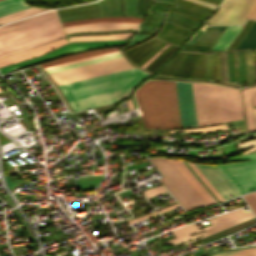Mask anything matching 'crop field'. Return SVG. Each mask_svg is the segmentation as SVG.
Returning a JSON list of instances; mask_svg holds the SVG:
<instances>
[{
	"label": "crop field",
	"instance_id": "obj_1",
	"mask_svg": "<svg viewBox=\"0 0 256 256\" xmlns=\"http://www.w3.org/2000/svg\"><path fill=\"white\" fill-rule=\"evenodd\" d=\"M55 11L0 27V56L63 38Z\"/></svg>",
	"mask_w": 256,
	"mask_h": 256
},
{
	"label": "crop field",
	"instance_id": "obj_2",
	"mask_svg": "<svg viewBox=\"0 0 256 256\" xmlns=\"http://www.w3.org/2000/svg\"><path fill=\"white\" fill-rule=\"evenodd\" d=\"M135 96L146 128L181 127L173 81H147Z\"/></svg>",
	"mask_w": 256,
	"mask_h": 256
},
{
	"label": "crop field",
	"instance_id": "obj_3",
	"mask_svg": "<svg viewBox=\"0 0 256 256\" xmlns=\"http://www.w3.org/2000/svg\"><path fill=\"white\" fill-rule=\"evenodd\" d=\"M198 125L244 119L239 90L192 83Z\"/></svg>",
	"mask_w": 256,
	"mask_h": 256
},
{
	"label": "crop field",
	"instance_id": "obj_4",
	"mask_svg": "<svg viewBox=\"0 0 256 256\" xmlns=\"http://www.w3.org/2000/svg\"><path fill=\"white\" fill-rule=\"evenodd\" d=\"M150 161L164 176L160 178L162 183L184 209L208 205L170 159L151 158Z\"/></svg>",
	"mask_w": 256,
	"mask_h": 256
},
{
	"label": "crop field",
	"instance_id": "obj_5",
	"mask_svg": "<svg viewBox=\"0 0 256 256\" xmlns=\"http://www.w3.org/2000/svg\"><path fill=\"white\" fill-rule=\"evenodd\" d=\"M133 66L124 57L112 59L104 62L90 64L82 67L68 69L60 72L51 73V77L58 85L78 81L94 76H99L111 72H116Z\"/></svg>",
	"mask_w": 256,
	"mask_h": 256
},
{
	"label": "crop field",
	"instance_id": "obj_6",
	"mask_svg": "<svg viewBox=\"0 0 256 256\" xmlns=\"http://www.w3.org/2000/svg\"><path fill=\"white\" fill-rule=\"evenodd\" d=\"M255 0H225L208 25L244 24Z\"/></svg>",
	"mask_w": 256,
	"mask_h": 256
},
{
	"label": "crop field",
	"instance_id": "obj_7",
	"mask_svg": "<svg viewBox=\"0 0 256 256\" xmlns=\"http://www.w3.org/2000/svg\"><path fill=\"white\" fill-rule=\"evenodd\" d=\"M218 167L241 194L256 190V161Z\"/></svg>",
	"mask_w": 256,
	"mask_h": 256
},
{
	"label": "crop field",
	"instance_id": "obj_8",
	"mask_svg": "<svg viewBox=\"0 0 256 256\" xmlns=\"http://www.w3.org/2000/svg\"><path fill=\"white\" fill-rule=\"evenodd\" d=\"M127 40H118V41H101V42H85V43H71L67 44L43 57H38L36 59L24 61L21 63H18L13 66L5 67L0 70L2 74L29 66L34 63L42 62L60 55L64 54H69V53H74L86 49H93V48H100V47H105V46H113V45H121L125 44Z\"/></svg>",
	"mask_w": 256,
	"mask_h": 256
},
{
	"label": "crop field",
	"instance_id": "obj_9",
	"mask_svg": "<svg viewBox=\"0 0 256 256\" xmlns=\"http://www.w3.org/2000/svg\"><path fill=\"white\" fill-rule=\"evenodd\" d=\"M182 126H195L196 115L191 83L175 82Z\"/></svg>",
	"mask_w": 256,
	"mask_h": 256
},
{
	"label": "crop field",
	"instance_id": "obj_10",
	"mask_svg": "<svg viewBox=\"0 0 256 256\" xmlns=\"http://www.w3.org/2000/svg\"><path fill=\"white\" fill-rule=\"evenodd\" d=\"M176 1L181 2V3H184V4H187V5H190V6H193V7H196V8H199V9H202V10H205V11L210 12V13H212V11H213V10H211V9H209V8L203 7V6H201V5H198V4L189 2V1H185V0H176ZM181 3H177V2H176L175 6H176V7H179V8H182V9H186V10L195 12V13H198V14H201V15L206 16V17H208V16L210 15V13H207V12H205V11H202V10H199V9H196V8H193V7H190V6L181 4ZM169 8L175 9V8H173V7H169ZM177 9H178V8H177ZM177 9H175V10H177ZM175 10H170V9H168V11L171 12V13L178 14V15H182V16H186V17H189V18H191V19L198 20V21H200V22H203V20H205L204 18H206V17L201 18V19H203V20H201V19H198V18H200V17H203V16H201V15H198V14H195V13H192V12L187 11V12L193 14V15L200 16V17L196 18V17H192L193 15H192V16H188V15H191V14H189V13H187V12H184L185 10H184V11H180V10H181V9H180V10H177V11H180V12H182V13H184V14H188V15H184V14H182V13H180V12L175 11ZM169 12H168V13H169ZM171 13H169V14H171ZM174 14H172V15H174ZM172 15H170V16H172ZM178 15H175V16L180 17V18H184V19H187V20H190V21H193V22H195V23L200 24V23L197 22V21L191 20V19L186 18V17L178 16ZM170 16L167 15L165 20H167V21H169V22H172V23H175V24H177V25H180V26H182V27H184V28H187V29H189V30H191V31H193V30L196 28V26H198V24H195V23H193V22H190V21L183 20V19H180V18L175 17V18H177V19H179V20H181V21H185V22L191 23V24L196 25V26L190 25V24L185 23V22H181V21H179V20H177V19L172 18V17H174V16H172V17H170Z\"/></svg>",
	"mask_w": 256,
	"mask_h": 256
},
{
	"label": "crop field",
	"instance_id": "obj_11",
	"mask_svg": "<svg viewBox=\"0 0 256 256\" xmlns=\"http://www.w3.org/2000/svg\"><path fill=\"white\" fill-rule=\"evenodd\" d=\"M199 55V53H179L158 74L188 78Z\"/></svg>",
	"mask_w": 256,
	"mask_h": 256
},
{
	"label": "crop field",
	"instance_id": "obj_12",
	"mask_svg": "<svg viewBox=\"0 0 256 256\" xmlns=\"http://www.w3.org/2000/svg\"><path fill=\"white\" fill-rule=\"evenodd\" d=\"M132 87L112 91L92 97H87L75 101H71L70 104L74 110V112L90 109L102 105H107L111 103L118 102L120 99L124 98L130 91Z\"/></svg>",
	"mask_w": 256,
	"mask_h": 256
},
{
	"label": "crop field",
	"instance_id": "obj_13",
	"mask_svg": "<svg viewBox=\"0 0 256 256\" xmlns=\"http://www.w3.org/2000/svg\"><path fill=\"white\" fill-rule=\"evenodd\" d=\"M248 214H251V212L245 214L243 209H241V210L230 212V213H227V214H224V215H220V216H217V217L210 218L208 220L211 222L212 225H210V226H208L206 228H203L201 230L198 229L196 224H192V225H188V226L179 228L177 230L172 231L177 238L172 239V240H168V241H165V242H162V243L165 244V243L174 241L176 239H179V238H182V237H185V236L197 233L199 231H203V230L209 229V228H211L213 226H216V225L224 224L226 222L235 220L237 218L246 216Z\"/></svg>",
	"mask_w": 256,
	"mask_h": 256
},
{
	"label": "crop field",
	"instance_id": "obj_14",
	"mask_svg": "<svg viewBox=\"0 0 256 256\" xmlns=\"http://www.w3.org/2000/svg\"><path fill=\"white\" fill-rule=\"evenodd\" d=\"M65 43H67V41L64 38L61 40H57V41L39 46L37 48H33V49L13 53V54H10V55L4 56V57H0V66H4L7 64H11L14 62L32 58V57H35L38 55H42V54L47 53Z\"/></svg>",
	"mask_w": 256,
	"mask_h": 256
},
{
	"label": "crop field",
	"instance_id": "obj_15",
	"mask_svg": "<svg viewBox=\"0 0 256 256\" xmlns=\"http://www.w3.org/2000/svg\"><path fill=\"white\" fill-rule=\"evenodd\" d=\"M156 42H158V40L151 38L145 42H143V44L141 45H137L131 49L128 50H124V53L126 54V56L128 54H130L136 47V49L127 56V58L132 62L134 59H136L138 56H140L142 53H144L146 50H148L150 47H152ZM163 41H159L158 43H156L152 48H150L148 51H146L144 54H142L140 57H138L135 61H133L132 63H137L138 61H140L141 59H143L146 55H148L153 49H155L159 44H161ZM166 44L165 42H163L161 45H159L154 51H152L148 56H146L143 60H141L140 62H138L137 66H141L144 62H146L151 56H153L155 53H157L160 48ZM123 52V51H122Z\"/></svg>",
	"mask_w": 256,
	"mask_h": 256
},
{
	"label": "crop field",
	"instance_id": "obj_16",
	"mask_svg": "<svg viewBox=\"0 0 256 256\" xmlns=\"http://www.w3.org/2000/svg\"><path fill=\"white\" fill-rule=\"evenodd\" d=\"M145 77L67 94L66 97H67L68 101H70V100H75V99H79V98H83V97H87V96H92V95H96V94H100V93H104V92H108V91H112V90H117V89L129 87V86H133V85H136L141 79H143Z\"/></svg>",
	"mask_w": 256,
	"mask_h": 256
},
{
	"label": "crop field",
	"instance_id": "obj_17",
	"mask_svg": "<svg viewBox=\"0 0 256 256\" xmlns=\"http://www.w3.org/2000/svg\"><path fill=\"white\" fill-rule=\"evenodd\" d=\"M190 33L191 31L187 29L165 22L155 37L180 45Z\"/></svg>",
	"mask_w": 256,
	"mask_h": 256
},
{
	"label": "crop field",
	"instance_id": "obj_18",
	"mask_svg": "<svg viewBox=\"0 0 256 256\" xmlns=\"http://www.w3.org/2000/svg\"><path fill=\"white\" fill-rule=\"evenodd\" d=\"M139 23H98L64 28L66 33L97 30L136 29Z\"/></svg>",
	"mask_w": 256,
	"mask_h": 256
},
{
	"label": "crop field",
	"instance_id": "obj_19",
	"mask_svg": "<svg viewBox=\"0 0 256 256\" xmlns=\"http://www.w3.org/2000/svg\"><path fill=\"white\" fill-rule=\"evenodd\" d=\"M92 4H94V3H92ZM86 5H91V4H86ZM80 6H83V5H80ZM74 7H76V6H74ZM95 8H99V5L95 4V5H91V6L76 7V8L69 7V8L57 10V12L65 13V12H73V11L88 10V9H95ZM97 12H100V10L96 9V10L80 11V12L65 13V14H58V15H59V17H64V16H73V15H81V14H89V13H97ZM97 16H100V13L81 15V16H73V17H64V18H60V19H61V21H65V20L97 17Z\"/></svg>",
	"mask_w": 256,
	"mask_h": 256
},
{
	"label": "crop field",
	"instance_id": "obj_20",
	"mask_svg": "<svg viewBox=\"0 0 256 256\" xmlns=\"http://www.w3.org/2000/svg\"><path fill=\"white\" fill-rule=\"evenodd\" d=\"M238 53L239 60V74L237 72V57L236 52H231V60H232V70H233V82L246 81V69H245V59L243 52ZM228 57V67H229V53L227 52ZM231 60H230V69H231ZM232 70H231V79H232ZM230 77V70H229ZM230 79V82H231Z\"/></svg>",
	"mask_w": 256,
	"mask_h": 256
},
{
	"label": "crop field",
	"instance_id": "obj_21",
	"mask_svg": "<svg viewBox=\"0 0 256 256\" xmlns=\"http://www.w3.org/2000/svg\"><path fill=\"white\" fill-rule=\"evenodd\" d=\"M250 90L253 105L256 106V87H251L242 91L248 131L256 129L251 106Z\"/></svg>",
	"mask_w": 256,
	"mask_h": 256
},
{
	"label": "crop field",
	"instance_id": "obj_22",
	"mask_svg": "<svg viewBox=\"0 0 256 256\" xmlns=\"http://www.w3.org/2000/svg\"><path fill=\"white\" fill-rule=\"evenodd\" d=\"M142 18L138 17H100L94 19L75 20L62 22L64 27L98 22H140Z\"/></svg>",
	"mask_w": 256,
	"mask_h": 256
},
{
	"label": "crop field",
	"instance_id": "obj_23",
	"mask_svg": "<svg viewBox=\"0 0 256 256\" xmlns=\"http://www.w3.org/2000/svg\"><path fill=\"white\" fill-rule=\"evenodd\" d=\"M119 47L106 48V49H100V50L89 51V52H82V53L70 55V56H67V57H64V58H60V59H56V60H53V61L42 63V66L46 67V66L55 65V64H59V63H64V62H68V61H73V60H77V59H81V58H86V57H90V56H95V55H99V54L113 52V51L119 50Z\"/></svg>",
	"mask_w": 256,
	"mask_h": 256
},
{
	"label": "crop field",
	"instance_id": "obj_24",
	"mask_svg": "<svg viewBox=\"0 0 256 256\" xmlns=\"http://www.w3.org/2000/svg\"><path fill=\"white\" fill-rule=\"evenodd\" d=\"M251 218H254V215H253V214L248 215V216L243 217V218H240V219H238V220L232 221V222H230V223L221 225V226H219V227H216V228H213V229H209V230L203 231V232H201V233L192 235V236H190V237H187V238H184V239H181V240H178V241L169 243V244H171V245L178 244V243L184 242V241H186V240L192 239V238L197 237V236H200V235H202L203 237H205V236L211 235V234H213V233L219 232V231H221V230L227 229V228H229V227H232V226H234V225H236V224H239V223H241V222H243V221L249 220V219H251ZM203 237H201V238H203ZM198 239H200V238H197V239H194V240H191V241L182 243L181 245L188 244V243H190V242H192V241H195V240H198Z\"/></svg>",
	"mask_w": 256,
	"mask_h": 256
},
{
	"label": "crop field",
	"instance_id": "obj_25",
	"mask_svg": "<svg viewBox=\"0 0 256 256\" xmlns=\"http://www.w3.org/2000/svg\"><path fill=\"white\" fill-rule=\"evenodd\" d=\"M243 26H228L218 38L212 50H225Z\"/></svg>",
	"mask_w": 256,
	"mask_h": 256
},
{
	"label": "crop field",
	"instance_id": "obj_26",
	"mask_svg": "<svg viewBox=\"0 0 256 256\" xmlns=\"http://www.w3.org/2000/svg\"><path fill=\"white\" fill-rule=\"evenodd\" d=\"M145 75H147V74L144 71H141V72H137V73H133V74H129V75H125V76H121V77H117V78H113V79H109V80H105V81H100V82H96V83H92V84H88V85H84V86L64 90L62 92H63V94H66V93H70V92H75V91H79V90H83V89H88V88H92V87L106 85V84L119 82V81H123V80H128V79L141 77V76H145Z\"/></svg>",
	"mask_w": 256,
	"mask_h": 256
},
{
	"label": "crop field",
	"instance_id": "obj_27",
	"mask_svg": "<svg viewBox=\"0 0 256 256\" xmlns=\"http://www.w3.org/2000/svg\"><path fill=\"white\" fill-rule=\"evenodd\" d=\"M206 57H207V54L200 55L190 78L204 79L205 68H206ZM210 59H211V54H209L208 60H207V68H206V75H205V79L207 80L209 77Z\"/></svg>",
	"mask_w": 256,
	"mask_h": 256
},
{
	"label": "crop field",
	"instance_id": "obj_28",
	"mask_svg": "<svg viewBox=\"0 0 256 256\" xmlns=\"http://www.w3.org/2000/svg\"><path fill=\"white\" fill-rule=\"evenodd\" d=\"M26 8H29V6L21 0H4L0 2V16Z\"/></svg>",
	"mask_w": 256,
	"mask_h": 256
},
{
	"label": "crop field",
	"instance_id": "obj_29",
	"mask_svg": "<svg viewBox=\"0 0 256 256\" xmlns=\"http://www.w3.org/2000/svg\"><path fill=\"white\" fill-rule=\"evenodd\" d=\"M133 33H120L114 35H84V36H75L70 37L69 41H84V40H105V39H125L131 38Z\"/></svg>",
	"mask_w": 256,
	"mask_h": 256
},
{
	"label": "crop field",
	"instance_id": "obj_30",
	"mask_svg": "<svg viewBox=\"0 0 256 256\" xmlns=\"http://www.w3.org/2000/svg\"><path fill=\"white\" fill-rule=\"evenodd\" d=\"M44 10H48V9L32 7L30 9H27V10H24V11H20V12L14 13V14H10V15H7V16H4V17H0V24L8 22V21L15 20V19H18V18H21V17H25V16H28V15H31V14H34V13H38V12H41V11H44Z\"/></svg>",
	"mask_w": 256,
	"mask_h": 256
},
{
	"label": "crop field",
	"instance_id": "obj_31",
	"mask_svg": "<svg viewBox=\"0 0 256 256\" xmlns=\"http://www.w3.org/2000/svg\"><path fill=\"white\" fill-rule=\"evenodd\" d=\"M173 45H169L157 58H155L149 65H147L144 69L150 68L158 59H160L167 51H169ZM177 47L174 46L168 53H166L160 60H158L149 70V72H153L163 61H165L176 49Z\"/></svg>",
	"mask_w": 256,
	"mask_h": 256
},
{
	"label": "crop field",
	"instance_id": "obj_32",
	"mask_svg": "<svg viewBox=\"0 0 256 256\" xmlns=\"http://www.w3.org/2000/svg\"><path fill=\"white\" fill-rule=\"evenodd\" d=\"M172 161H173V163L180 169V171L187 177V179L193 184V186L200 192V194L207 200V202L209 203V204H212L213 202L211 201V199L205 194V192L198 186V184L192 179V177L186 172V170L179 164V162L177 161V160H173V159H171ZM171 161V162H172ZM178 169V170H179ZM184 176V177H185ZM185 177V178H186ZM191 184V185H192ZM197 191V192H198ZM198 192V193H199ZM204 199V200H205ZM205 200V201H206Z\"/></svg>",
	"mask_w": 256,
	"mask_h": 256
},
{
	"label": "crop field",
	"instance_id": "obj_33",
	"mask_svg": "<svg viewBox=\"0 0 256 256\" xmlns=\"http://www.w3.org/2000/svg\"><path fill=\"white\" fill-rule=\"evenodd\" d=\"M121 56H123V55L121 53H119V54H115V55H111V56H107V57H103V58H98V59H94V60H90V61H86V62H81V63H77V64L65 66V67H60V68L48 70L47 72L51 73V72H55V71H60V70H64V69H68V68H73V67H77V66H82V65H86V64H90V63H95V62H99V61H104V60H108V59H112V58H117V57H121Z\"/></svg>",
	"mask_w": 256,
	"mask_h": 256
},
{
	"label": "crop field",
	"instance_id": "obj_34",
	"mask_svg": "<svg viewBox=\"0 0 256 256\" xmlns=\"http://www.w3.org/2000/svg\"><path fill=\"white\" fill-rule=\"evenodd\" d=\"M106 1H107L108 16L117 15L116 0H106ZM106 1L105 0L99 1L102 8V16H107Z\"/></svg>",
	"mask_w": 256,
	"mask_h": 256
},
{
	"label": "crop field",
	"instance_id": "obj_35",
	"mask_svg": "<svg viewBox=\"0 0 256 256\" xmlns=\"http://www.w3.org/2000/svg\"><path fill=\"white\" fill-rule=\"evenodd\" d=\"M219 129H228L227 125H215L211 127H203V128H194V129H182V130H174L170 132H192V133H203V132H213Z\"/></svg>",
	"mask_w": 256,
	"mask_h": 256
},
{
	"label": "crop field",
	"instance_id": "obj_36",
	"mask_svg": "<svg viewBox=\"0 0 256 256\" xmlns=\"http://www.w3.org/2000/svg\"><path fill=\"white\" fill-rule=\"evenodd\" d=\"M253 138H256V135L249 136V137H246V138L238 140V150H237V153L242 151V150H244V149H246V148H249L251 146H255V147H253V148L243 152V154H246V153H249V152H252V151H256V140H251V141L239 143L241 141H245V140H249V139H253Z\"/></svg>",
	"mask_w": 256,
	"mask_h": 256
},
{
	"label": "crop field",
	"instance_id": "obj_37",
	"mask_svg": "<svg viewBox=\"0 0 256 256\" xmlns=\"http://www.w3.org/2000/svg\"><path fill=\"white\" fill-rule=\"evenodd\" d=\"M254 23L253 20H248L246 25L243 27V29L240 31V33L237 35V37L234 39V41L229 46V49H236V47L239 45L241 40L244 38V36L247 34L249 29L251 28L252 24Z\"/></svg>",
	"mask_w": 256,
	"mask_h": 256
},
{
	"label": "crop field",
	"instance_id": "obj_38",
	"mask_svg": "<svg viewBox=\"0 0 256 256\" xmlns=\"http://www.w3.org/2000/svg\"><path fill=\"white\" fill-rule=\"evenodd\" d=\"M165 13H166V12L161 11V21H160V24H159V20H160V11H158V18H157V22H156V26H155V27H157L158 24H159L158 27L161 26V24H162V19H163ZM153 15H157V11H154V12H153ZM156 17H157V16H152V14H148L147 18L145 19V21L143 22L142 25L154 27L155 21H156Z\"/></svg>",
	"mask_w": 256,
	"mask_h": 256
},
{
	"label": "crop field",
	"instance_id": "obj_39",
	"mask_svg": "<svg viewBox=\"0 0 256 256\" xmlns=\"http://www.w3.org/2000/svg\"><path fill=\"white\" fill-rule=\"evenodd\" d=\"M250 52V63H251V84H254V74H253V56L252 50ZM247 66V84H250V64H249V53L248 50H244Z\"/></svg>",
	"mask_w": 256,
	"mask_h": 256
},
{
	"label": "crop field",
	"instance_id": "obj_40",
	"mask_svg": "<svg viewBox=\"0 0 256 256\" xmlns=\"http://www.w3.org/2000/svg\"><path fill=\"white\" fill-rule=\"evenodd\" d=\"M217 53H212V59H211V69H210V77L209 80H211V73H212V66H213V61H214V54H215V62H214V67H213V74H212V80L214 81V76H215V67H216V60H217ZM215 81H220V71H219V54H218V61H217V67H216V77Z\"/></svg>",
	"mask_w": 256,
	"mask_h": 256
},
{
	"label": "crop field",
	"instance_id": "obj_41",
	"mask_svg": "<svg viewBox=\"0 0 256 256\" xmlns=\"http://www.w3.org/2000/svg\"><path fill=\"white\" fill-rule=\"evenodd\" d=\"M134 70H138V69L133 68V69H129V70L121 71V72H116V73L103 75V76H99V77H95V78H91V79H86V80H82V81H78V82H73V83L61 85L60 88L75 85V84H79V83H84V82H88V81H92V80H96V79H100V78H105V77H109V76H113V75H117V74H122V73L130 72V71H134Z\"/></svg>",
	"mask_w": 256,
	"mask_h": 256
},
{
	"label": "crop field",
	"instance_id": "obj_42",
	"mask_svg": "<svg viewBox=\"0 0 256 256\" xmlns=\"http://www.w3.org/2000/svg\"><path fill=\"white\" fill-rule=\"evenodd\" d=\"M181 159H184V158H181ZM249 159H256V152L248 155H244L238 158H231V159H226V160H221L216 162H206V161L193 160V159H187V160H193V161H199V162H205V163H218V162L241 161V160H249Z\"/></svg>",
	"mask_w": 256,
	"mask_h": 256
},
{
	"label": "crop field",
	"instance_id": "obj_43",
	"mask_svg": "<svg viewBox=\"0 0 256 256\" xmlns=\"http://www.w3.org/2000/svg\"><path fill=\"white\" fill-rule=\"evenodd\" d=\"M189 166L196 172V174L203 180V182L210 188V190L217 196L220 201H223L221 196L216 192V190L211 186V184L206 180V178L201 174V172L196 168L194 164L188 163Z\"/></svg>",
	"mask_w": 256,
	"mask_h": 256
},
{
	"label": "crop field",
	"instance_id": "obj_44",
	"mask_svg": "<svg viewBox=\"0 0 256 256\" xmlns=\"http://www.w3.org/2000/svg\"><path fill=\"white\" fill-rule=\"evenodd\" d=\"M136 0H123L125 15H134Z\"/></svg>",
	"mask_w": 256,
	"mask_h": 256
},
{
	"label": "crop field",
	"instance_id": "obj_45",
	"mask_svg": "<svg viewBox=\"0 0 256 256\" xmlns=\"http://www.w3.org/2000/svg\"><path fill=\"white\" fill-rule=\"evenodd\" d=\"M211 48H212V47H210V46L186 44L182 50H191V51H199V52H208Z\"/></svg>",
	"mask_w": 256,
	"mask_h": 256
},
{
	"label": "crop field",
	"instance_id": "obj_46",
	"mask_svg": "<svg viewBox=\"0 0 256 256\" xmlns=\"http://www.w3.org/2000/svg\"><path fill=\"white\" fill-rule=\"evenodd\" d=\"M254 214L256 215V193H251L243 196Z\"/></svg>",
	"mask_w": 256,
	"mask_h": 256
},
{
	"label": "crop field",
	"instance_id": "obj_47",
	"mask_svg": "<svg viewBox=\"0 0 256 256\" xmlns=\"http://www.w3.org/2000/svg\"><path fill=\"white\" fill-rule=\"evenodd\" d=\"M143 1L144 0H138L137 1V7H136V13H135V15H140V13H141V9H142V5H143ZM150 1L151 0H146V3H145V1H144V3H145V6H144V10H143V14L142 15H146V13H147V11H148V9H149V4H150Z\"/></svg>",
	"mask_w": 256,
	"mask_h": 256
},
{
	"label": "crop field",
	"instance_id": "obj_48",
	"mask_svg": "<svg viewBox=\"0 0 256 256\" xmlns=\"http://www.w3.org/2000/svg\"><path fill=\"white\" fill-rule=\"evenodd\" d=\"M115 53H119V51L104 54V55H99V56H95V57H90V58H86V59H82V60H77V61H73V62H68V63H64V64H59V65H55V66L46 67L45 70L60 67V66H64V65H69V64H73V63H77V62H81V61H86V60H90V59H94V58H98V57H102V56H107V55H111V54H115Z\"/></svg>",
	"mask_w": 256,
	"mask_h": 256
},
{
	"label": "crop field",
	"instance_id": "obj_49",
	"mask_svg": "<svg viewBox=\"0 0 256 256\" xmlns=\"http://www.w3.org/2000/svg\"><path fill=\"white\" fill-rule=\"evenodd\" d=\"M232 256H256V247L244 249Z\"/></svg>",
	"mask_w": 256,
	"mask_h": 256
},
{
	"label": "crop field",
	"instance_id": "obj_50",
	"mask_svg": "<svg viewBox=\"0 0 256 256\" xmlns=\"http://www.w3.org/2000/svg\"><path fill=\"white\" fill-rule=\"evenodd\" d=\"M164 191H166V190L163 189L161 186H159V187L144 191V194L147 196V198H149L151 196L157 195V194L162 193Z\"/></svg>",
	"mask_w": 256,
	"mask_h": 256
},
{
	"label": "crop field",
	"instance_id": "obj_51",
	"mask_svg": "<svg viewBox=\"0 0 256 256\" xmlns=\"http://www.w3.org/2000/svg\"><path fill=\"white\" fill-rule=\"evenodd\" d=\"M153 4L154 5H159V6H166V5H173V2L154 1ZM150 10H166V7L151 6Z\"/></svg>",
	"mask_w": 256,
	"mask_h": 256
},
{
	"label": "crop field",
	"instance_id": "obj_52",
	"mask_svg": "<svg viewBox=\"0 0 256 256\" xmlns=\"http://www.w3.org/2000/svg\"><path fill=\"white\" fill-rule=\"evenodd\" d=\"M189 1L201 4L203 6L211 8V9H215L217 7V5H214V4H211V3H208V2H204V1H201V0H189Z\"/></svg>",
	"mask_w": 256,
	"mask_h": 256
},
{
	"label": "crop field",
	"instance_id": "obj_53",
	"mask_svg": "<svg viewBox=\"0 0 256 256\" xmlns=\"http://www.w3.org/2000/svg\"><path fill=\"white\" fill-rule=\"evenodd\" d=\"M241 250H242V249H241ZM238 251H240V250L219 252V253H215V254H213V255H211V256H230V255H232V254H234V253H236V252H238Z\"/></svg>",
	"mask_w": 256,
	"mask_h": 256
},
{
	"label": "crop field",
	"instance_id": "obj_54",
	"mask_svg": "<svg viewBox=\"0 0 256 256\" xmlns=\"http://www.w3.org/2000/svg\"><path fill=\"white\" fill-rule=\"evenodd\" d=\"M138 71H141V70H138ZM134 72H137V71H134ZM130 73H133V72H130ZM126 74H129V73H126ZM122 75H125V74H122ZM117 76H121V75H117ZM117 76H113V77H117ZM113 77H109V78H113ZM109 78H105V79H109ZM105 79H101V80H105ZM96 81H100V80H96ZM96 81H92V82H96ZM92 82H88V83H92ZM88 83H84V84H88ZM84 84H79V85L63 88L61 90L72 88V87H76V86H80V85H84Z\"/></svg>",
	"mask_w": 256,
	"mask_h": 256
},
{
	"label": "crop field",
	"instance_id": "obj_55",
	"mask_svg": "<svg viewBox=\"0 0 256 256\" xmlns=\"http://www.w3.org/2000/svg\"><path fill=\"white\" fill-rule=\"evenodd\" d=\"M153 215H157V213L154 212V213L148 214V215H146V216H143V217L134 219V220H132V221H129V224H131V223H133V222H136V221H139V220H141V219H144V218H146V217L153 216Z\"/></svg>",
	"mask_w": 256,
	"mask_h": 256
},
{
	"label": "crop field",
	"instance_id": "obj_56",
	"mask_svg": "<svg viewBox=\"0 0 256 256\" xmlns=\"http://www.w3.org/2000/svg\"><path fill=\"white\" fill-rule=\"evenodd\" d=\"M152 78H157V79H176V80L193 81V80H186V79H179V78L160 77V76H153ZM211 82H213V81H211Z\"/></svg>",
	"mask_w": 256,
	"mask_h": 256
},
{
	"label": "crop field",
	"instance_id": "obj_57",
	"mask_svg": "<svg viewBox=\"0 0 256 256\" xmlns=\"http://www.w3.org/2000/svg\"><path fill=\"white\" fill-rule=\"evenodd\" d=\"M174 207H178V204L169 206V207H167V208H164V209L160 210L159 212L162 213V212L167 211V210H169V209H171V208H174Z\"/></svg>",
	"mask_w": 256,
	"mask_h": 256
},
{
	"label": "crop field",
	"instance_id": "obj_58",
	"mask_svg": "<svg viewBox=\"0 0 256 256\" xmlns=\"http://www.w3.org/2000/svg\"><path fill=\"white\" fill-rule=\"evenodd\" d=\"M119 15H122L121 0H117Z\"/></svg>",
	"mask_w": 256,
	"mask_h": 256
},
{
	"label": "crop field",
	"instance_id": "obj_59",
	"mask_svg": "<svg viewBox=\"0 0 256 256\" xmlns=\"http://www.w3.org/2000/svg\"><path fill=\"white\" fill-rule=\"evenodd\" d=\"M139 32H141V33H146V34H150V35H153V33H152V32H147V31H143V30H140Z\"/></svg>",
	"mask_w": 256,
	"mask_h": 256
},
{
	"label": "crop field",
	"instance_id": "obj_60",
	"mask_svg": "<svg viewBox=\"0 0 256 256\" xmlns=\"http://www.w3.org/2000/svg\"><path fill=\"white\" fill-rule=\"evenodd\" d=\"M205 1H208V2H211V3H214V4H219L220 3V1H222V0H220V1H217V0H212V1H216V2H219V3H215V2H212V1H209V0H205Z\"/></svg>",
	"mask_w": 256,
	"mask_h": 256
},
{
	"label": "crop field",
	"instance_id": "obj_61",
	"mask_svg": "<svg viewBox=\"0 0 256 256\" xmlns=\"http://www.w3.org/2000/svg\"><path fill=\"white\" fill-rule=\"evenodd\" d=\"M254 112H255V117H256V108H254Z\"/></svg>",
	"mask_w": 256,
	"mask_h": 256
},
{
	"label": "crop field",
	"instance_id": "obj_62",
	"mask_svg": "<svg viewBox=\"0 0 256 256\" xmlns=\"http://www.w3.org/2000/svg\"><path fill=\"white\" fill-rule=\"evenodd\" d=\"M171 1H173V0H171Z\"/></svg>",
	"mask_w": 256,
	"mask_h": 256
}]
</instances>
